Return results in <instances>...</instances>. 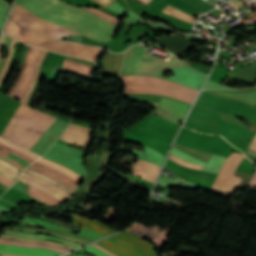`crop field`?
<instances>
[{"mask_svg": "<svg viewBox=\"0 0 256 256\" xmlns=\"http://www.w3.org/2000/svg\"><path fill=\"white\" fill-rule=\"evenodd\" d=\"M41 7L65 16L67 18L80 21L92 28H95L105 34L112 36L115 32L117 25L107 22L85 10L69 6L59 0H32ZM31 0H17L16 3L21 7L25 8L37 18L46 21L51 24L66 27L74 32L85 35L95 41L109 42L110 36L102 34L80 22L67 19L65 17L53 14ZM15 5L11 17L12 19L19 21L28 27L42 33L53 40H60L64 35H79L72 31H69L63 27L55 26L43 22L37 19L35 16L30 14L20 6Z\"/></svg>", "mask_w": 256, "mask_h": 256, "instance_id": "crop-field-1", "label": "crop field"}, {"mask_svg": "<svg viewBox=\"0 0 256 256\" xmlns=\"http://www.w3.org/2000/svg\"><path fill=\"white\" fill-rule=\"evenodd\" d=\"M4 32L13 36L16 40L22 43L45 48L63 54L88 59L91 61L97 60L102 50V48L100 47L86 46L72 42H53L42 37L33 30L11 20H8Z\"/></svg>", "mask_w": 256, "mask_h": 256, "instance_id": "crop-field-2", "label": "crop field"}, {"mask_svg": "<svg viewBox=\"0 0 256 256\" xmlns=\"http://www.w3.org/2000/svg\"><path fill=\"white\" fill-rule=\"evenodd\" d=\"M125 84L124 93H155L192 104L198 91L168 80L147 76H117Z\"/></svg>", "mask_w": 256, "mask_h": 256, "instance_id": "crop-field-3", "label": "crop field"}, {"mask_svg": "<svg viewBox=\"0 0 256 256\" xmlns=\"http://www.w3.org/2000/svg\"><path fill=\"white\" fill-rule=\"evenodd\" d=\"M142 47L134 45L125 52L120 75H151L166 79L160 74L174 67L185 66L175 57L166 62L146 55Z\"/></svg>", "mask_w": 256, "mask_h": 256, "instance_id": "crop-field-4", "label": "crop field"}, {"mask_svg": "<svg viewBox=\"0 0 256 256\" xmlns=\"http://www.w3.org/2000/svg\"><path fill=\"white\" fill-rule=\"evenodd\" d=\"M32 111L33 108L28 107L17 124L24 126ZM55 119L56 117L43 114L34 109L25 126L17 125L11 132L8 141L29 150Z\"/></svg>", "mask_w": 256, "mask_h": 256, "instance_id": "crop-field-5", "label": "crop field"}, {"mask_svg": "<svg viewBox=\"0 0 256 256\" xmlns=\"http://www.w3.org/2000/svg\"><path fill=\"white\" fill-rule=\"evenodd\" d=\"M117 256H156L154 246L124 231L96 243Z\"/></svg>", "mask_w": 256, "mask_h": 256, "instance_id": "crop-field-6", "label": "crop field"}, {"mask_svg": "<svg viewBox=\"0 0 256 256\" xmlns=\"http://www.w3.org/2000/svg\"><path fill=\"white\" fill-rule=\"evenodd\" d=\"M244 157V155L232 153L222 165L211 189L233 197L241 181V178L233 175V173Z\"/></svg>", "mask_w": 256, "mask_h": 256, "instance_id": "crop-field-7", "label": "crop field"}, {"mask_svg": "<svg viewBox=\"0 0 256 256\" xmlns=\"http://www.w3.org/2000/svg\"><path fill=\"white\" fill-rule=\"evenodd\" d=\"M189 108L190 106L179 101L161 98L158 108L153 113L181 124Z\"/></svg>", "mask_w": 256, "mask_h": 256, "instance_id": "crop-field-8", "label": "crop field"}, {"mask_svg": "<svg viewBox=\"0 0 256 256\" xmlns=\"http://www.w3.org/2000/svg\"><path fill=\"white\" fill-rule=\"evenodd\" d=\"M0 253H9L17 255H27V256H58L62 253L41 249V248H31V247H21L7 244H0Z\"/></svg>", "mask_w": 256, "mask_h": 256, "instance_id": "crop-field-9", "label": "crop field"}, {"mask_svg": "<svg viewBox=\"0 0 256 256\" xmlns=\"http://www.w3.org/2000/svg\"><path fill=\"white\" fill-rule=\"evenodd\" d=\"M89 128L70 123L68 129L64 132L60 140L72 142L77 145L86 147L89 141Z\"/></svg>", "mask_w": 256, "mask_h": 256, "instance_id": "crop-field-10", "label": "crop field"}, {"mask_svg": "<svg viewBox=\"0 0 256 256\" xmlns=\"http://www.w3.org/2000/svg\"><path fill=\"white\" fill-rule=\"evenodd\" d=\"M7 229H12V230H15V231H20V232H30V233H38V234L57 236V237H61V238H64V239H67V240H70V241H73V242H76V243H79V244H83V245H86V244L90 243V242L82 240L80 238H74V237H70V236H67V235H64V234H61V233L44 231V230H39V229H34V228L25 227L23 229H16V228L8 227Z\"/></svg>", "mask_w": 256, "mask_h": 256, "instance_id": "crop-field-11", "label": "crop field"}, {"mask_svg": "<svg viewBox=\"0 0 256 256\" xmlns=\"http://www.w3.org/2000/svg\"><path fill=\"white\" fill-rule=\"evenodd\" d=\"M72 216L74 217L75 219V225H78V226H81V227H84L86 229H89V230H92V231H95V232H98V233H101L105 236L113 233L103 227H101L100 225L88 220V219H85L83 217H80V216H77V215H73Z\"/></svg>", "mask_w": 256, "mask_h": 256, "instance_id": "crop-field-12", "label": "crop field"}, {"mask_svg": "<svg viewBox=\"0 0 256 256\" xmlns=\"http://www.w3.org/2000/svg\"><path fill=\"white\" fill-rule=\"evenodd\" d=\"M6 234L15 235V236H21V237H29V238L53 239V240H56L58 242H62V243H65V244H68V245H71V246H74V247L82 246V245H79V244H76V243H73V242H70V241H67V240L55 238V237H52V236H44V235H37V234H27V233H20V232H15V231H10V230H7Z\"/></svg>", "mask_w": 256, "mask_h": 256, "instance_id": "crop-field-13", "label": "crop field"}, {"mask_svg": "<svg viewBox=\"0 0 256 256\" xmlns=\"http://www.w3.org/2000/svg\"><path fill=\"white\" fill-rule=\"evenodd\" d=\"M0 243H7V244H14V245H21V246L41 247V248H47V249L60 251L62 253H65L68 251V250L61 249L59 247L50 246V245H46V244L19 242V241H12V240H6V239H0Z\"/></svg>", "mask_w": 256, "mask_h": 256, "instance_id": "crop-field-14", "label": "crop field"}, {"mask_svg": "<svg viewBox=\"0 0 256 256\" xmlns=\"http://www.w3.org/2000/svg\"><path fill=\"white\" fill-rule=\"evenodd\" d=\"M162 12L167 13V14H169V15H172V16H174V17H177V18H179V19H182V20L191 22V23L194 22L193 17H191V16H189V15H187V14L181 12L180 10H178V9H176V8L170 6V5L166 6V7L162 10Z\"/></svg>", "mask_w": 256, "mask_h": 256, "instance_id": "crop-field-15", "label": "crop field"}, {"mask_svg": "<svg viewBox=\"0 0 256 256\" xmlns=\"http://www.w3.org/2000/svg\"><path fill=\"white\" fill-rule=\"evenodd\" d=\"M177 148L201 159V160H205L207 161L208 157L210 156V153H206V152H203V151H200V150H196V149H193V148H189V147H185V146H181V145H175Z\"/></svg>", "mask_w": 256, "mask_h": 256, "instance_id": "crop-field-16", "label": "crop field"}, {"mask_svg": "<svg viewBox=\"0 0 256 256\" xmlns=\"http://www.w3.org/2000/svg\"><path fill=\"white\" fill-rule=\"evenodd\" d=\"M24 222L30 223V224H37V225L45 226V227H48V228L59 229V230H64V231L69 232L68 227L52 224V223H49V222L39 221V220H36V219H31V218L26 217Z\"/></svg>", "mask_w": 256, "mask_h": 256, "instance_id": "crop-field-17", "label": "crop field"}, {"mask_svg": "<svg viewBox=\"0 0 256 256\" xmlns=\"http://www.w3.org/2000/svg\"><path fill=\"white\" fill-rule=\"evenodd\" d=\"M63 67L68 69L71 72L85 74V75H89V76L92 71L91 68L82 67V66H78V65H74V64H70V63H66V62L63 63Z\"/></svg>", "mask_w": 256, "mask_h": 256, "instance_id": "crop-field-18", "label": "crop field"}, {"mask_svg": "<svg viewBox=\"0 0 256 256\" xmlns=\"http://www.w3.org/2000/svg\"><path fill=\"white\" fill-rule=\"evenodd\" d=\"M28 168L33 169V170H35V171H38V172H40V173H42V174H44V175H46V176H48V177H50V178L56 180V181H58V182L64 184L65 186H67L68 188H70V189L73 190V191L76 189V187H74L73 185H71L70 183H68L67 181H65L64 179H62V178H60V177H58V176H56V175H54V174H51V173H48V172H46V171L40 170V169H38V168H36V167H34V166H32V165L29 166Z\"/></svg>", "mask_w": 256, "mask_h": 256, "instance_id": "crop-field-19", "label": "crop field"}, {"mask_svg": "<svg viewBox=\"0 0 256 256\" xmlns=\"http://www.w3.org/2000/svg\"><path fill=\"white\" fill-rule=\"evenodd\" d=\"M24 172H26V173H28V174H32V175H34V176H36V177H38V178H40V179H42V180H45V181H47V182H49V183H51V184L56 185L57 187H59L60 189H62L64 192H66V193L69 194V195H71V193L73 192V191H71L70 189H68L67 187H65V186H63V185H61V184H59V183H57V182H55V181H53V180H51V179L45 177V176H43V175H40V174H38V173H35V172H33V171L29 170V169H26Z\"/></svg>", "mask_w": 256, "mask_h": 256, "instance_id": "crop-field-20", "label": "crop field"}, {"mask_svg": "<svg viewBox=\"0 0 256 256\" xmlns=\"http://www.w3.org/2000/svg\"><path fill=\"white\" fill-rule=\"evenodd\" d=\"M2 238H8V239H14V240H20V241H28V242H39V243H47V244H51V245H55V246H59V247H66L67 245L58 243V242H52V241H42V240H35V239H28V238H21V237H14V236H8V235H3L1 234Z\"/></svg>", "mask_w": 256, "mask_h": 256, "instance_id": "crop-field-21", "label": "crop field"}, {"mask_svg": "<svg viewBox=\"0 0 256 256\" xmlns=\"http://www.w3.org/2000/svg\"><path fill=\"white\" fill-rule=\"evenodd\" d=\"M21 176H23V177H25V178H27V179H29V180H31V181L38 182V183H40V184H42V185H44V186H46V187L52 189L53 191H55L56 193H58L59 195L63 196V197L66 198V199H67V197H68V195H66V194H65L64 192H62L60 189H58L57 187H55V186H53V185H51V184H49V183H47V182H45V181H42V180H39V179H37V178L31 177V176H29V175H27V174H24V173H22Z\"/></svg>", "mask_w": 256, "mask_h": 256, "instance_id": "crop-field-22", "label": "crop field"}, {"mask_svg": "<svg viewBox=\"0 0 256 256\" xmlns=\"http://www.w3.org/2000/svg\"><path fill=\"white\" fill-rule=\"evenodd\" d=\"M33 165H35V166H37V167H39V168H41L43 170H46V171L51 172V173H54V174L64 178L65 180H67L68 182L73 184L74 186H77V184H78V182L74 181L73 179L69 178L68 176H66V175H64V174H62V173H60V172H58V171H56V170L46 166V165L40 164L38 162L34 163Z\"/></svg>", "mask_w": 256, "mask_h": 256, "instance_id": "crop-field-23", "label": "crop field"}, {"mask_svg": "<svg viewBox=\"0 0 256 256\" xmlns=\"http://www.w3.org/2000/svg\"><path fill=\"white\" fill-rule=\"evenodd\" d=\"M19 180H21V181H23V182H25V183H27V184L36 186V187H38V188L44 190L45 192L49 193L50 195H52L53 197H55L57 200H59L61 203H62L63 201H65V199H63L61 196H59L58 194H56L55 192H53L52 190H50V189H48V188H46V187H43V186H41V185H39V184H37V183H35V182H31V181H29V180H27V179H25V178H23V177H20Z\"/></svg>", "mask_w": 256, "mask_h": 256, "instance_id": "crop-field-24", "label": "crop field"}, {"mask_svg": "<svg viewBox=\"0 0 256 256\" xmlns=\"http://www.w3.org/2000/svg\"><path fill=\"white\" fill-rule=\"evenodd\" d=\"M83 9H86V8H83ZM86 10H88V11H90V12H92V13H94V14H96V15H98V16H100V17L118 25V19L111 16V15H108L104 12L97 11L95 9H86Z\"/></svg>", "mask_w": 256, "mask_h": 256, "instance_id": "crop-field-25", "label": "crop field"}, {"mask_svg": "<svg viewBox=\"0 0 256 256\" xmlns=\"http://www.w3.org/2000/svg\"><path fill=\"white\" fill-rule=\"evenodd\" d=\"M72 4L79 5V6H93V7H103L91 0H65Z\"/></svg>", "mask_w": 256, "mask_h": 256, "instance_id": "crop-field-26", "label": "crop field"}, {"mask_svg": "<svg viewBox=\"0 0 256 256\" xmlns=\"http://www.w3.org/2000/svg\"><path fill=\"white\" fill-rule=\"evenodd\" d=\"M9 6H10V4H8L6 1L0 0V28L3 24L4 18H5V15L7 13Z\"/></svg>", "mask_w": 256, "mask_h": 256, "instance_id": "crop-field-27", "label": "crop field"}, {"mask_svg": "<svg viewBox=\"0 0 256 256\" xmlns=\"http://www.w3.org/2000/svg\"><path fill=\"white\" fill-rule=\"evenodd\" d=\"M15 43H16V41L12 40V44H11V48H10V51H9V55H8L7 61H6L5 65H4L3 69H2V71H1V73H0V82H1V80H2V77H3V75H4V73H5L6 69H7V67H8V65H9L10 61H11V57H12V53H13V50H14ZM6 72H7V71H6ZM5 74H6V73H5ZM4 76H5V75H4ZM3 78H4V77H3Z\"/></svg>", "mask_w": 256, "mask_h": 256, "instance_id": "crop-field-28", "label": "crop field"}, {"mask_svg": "<svg viewBox=\"0 0 256 256\" xmlns=\"http://www.w3.org/2000/svg\"><path fill=\"white\" fill-rule=\"evenodd\" d=\"M169 159H171V160H173V161H175V162H177V163H179L183 166H187V167H191V168H195V169H199V170H202V168H203L202 166H197V165L187 163V162L181 160L180 158H178V157H176L172 154L170 155Z\"/></svg>", "mask_w": 256, "mask_h": 256, "instance_id": "crop-field-29", "label": "crop field"}, {"mask_svg": "<svg viewBox=\"0 0 256 256\" xmlns=\"http://www.w3.org/2000/svg\"><path fill=\"white\" fill-rule=\"evenodd\" d=\"M81 250L87 251V252L93 254L94 256H109L105 252H103V251H101V250H99V249H97V248H95L91 245H89V246H87V247H85Z\"/></svg>", "mask_w": 256, "mask_h": 256, "instance_id": "crop-field-30", "label": "crop field"}, {"mask_svg": "<svg viewBox=\"0 0 256 256\" xmlns=\"http://www.w3.org/2000/svg\"><path fill=\"white\" fill-rule=\"evenodd\" d=\"M31 50H32V47H30V46H29V48H28V52H27V55H26V57H25V60H24L23 66H22V68H21V72H20V74H19V76H18L17 80L15 81V83H14V85H13L12 89H11V91H10V93H9V96L11 95V93L13 92V90L15 89V87H16V85H17V83H18L19 79H20V77L22 76V74H23V72H24V70H25V67H26V61H27V59H28V56H29V54H30Z\"/></svg>", "mask_w": 256, "mask_h": 256, "instance_id": "crop-field-31", "label": "crop field"}, {"mask_svg": "<svg viewBox=\"0 0 256 256\" xmlns=\"http://www.w3.org/2000/svg\"><path fill=\"white\" fill-rule=\"evenodd\" d=\"M1 145H2V144H1ZM1 145H0V149H3V148H4L6 151L11 152V153H13V154H15V155L21 157L22 159L26 160V161L29 162L30 164H31L32 162H34V160H32V159L28 158L27 156H25V155L19 153L18 151L13 150V149H11V148H8V147H6V146H4V145H2V146H3V148H2ZM4 149H3V150H4Z\"/></svg>", "mask_w": 256, "mask_h": 256, "instance_id": "crop-field-32", "label": "crop field"}, {"mask_svg": "<svg viewBox=\"0 0 256 256\" xmlns=\"http://www.w3.org/2000/svg\"><path fill=\"white\" fill-rule=\"evenodd\" d=\"M79 235H83V236L92 238L94 240H97V239H100V238L104 237L102 235H98V234L92 233V232H90L88 230H84V229H81Z\"/></svg>", "mask_w": 256, "mask_h": 256, "instance_id": "crop-field-33", "label": "crop field"}, {"mask_svg": "<svg viewBox=\"0 0 256 256\" xmlns=\"http://www.w3.org/2000/svg\"><path fill=\"white\" fill-rule=\"evenodd\" d=\"M29 193H30L31 196H33V197H35V198H37V199H39V200H41V201H43L47 204L54 205L52 202L48 201L47 199H45L44 197H42V196H40L36 193L30 192V191H29Z\"/></svg>", "mask_w": 256, "mask_h": 256, "instance_id": "crop-field-34", "label": "crop field"}, {"mask_svg": "<svg viewBox=\"0 0 256 256\" xmlns=\"http://www.w3.org/2000/svg\"><path fill=\"white\" fill-rule=\"evenodd\" d=\"M99 10L105 11V12L111 14V15H114V16L118 17V18L122 16V15H120V14H118V13H116V12H114V11L108 9V8H102V9H99Z\"/></svg>", "mask_w": 256, "mask_h": 256, "instance_id": "crop-field-35", "label": "crop field"}, {"mask_svg": "<svg viewBox=\"0 0 256 256\" xmlns=\"http://www.w3.org/2000/svg\"><path fill=\"white\" fill-rule=\"evenodd\" d=\"M241 167H244V168H247V169H250V170H253L255 171L256 170V167L255 166H252V165H249V164H246V163H241L240 165Z\"/></svg>", "mask_w": 256, "mask_h": 256, "instance_id": "crop-field-36", "label": "crop field"}, {"mask_svg": "<svg viewBox=\"0 0 256 256\" xmlns=\"http://www.w3.org/2000/svg\"><path fill=\"white\" fill-rule=\"evenodd\" d=\"M94 1L100 3V4L104 5V6L109 5V4H111L113 2L112 0H94Z\"/></svg>", "mask_w": 256, "mask_h": 256, "instance_id": "crop-field-37", "label": "crop field"}, {"mask_svg": "<svg viewBox=\"0 0 256 256\" xmlns=\"http://www.w3.org/2000/svg\"><path fill=\"white\" fill-rule=\"evenodd\" d=\"M0 170H2V171H4V172H7V173H9V174H11V175H14V176H16V177H17V175H18V174H16L15 172H13V171H11V170H9V169H6V168H4V167H2V166H0Z\"/></svg>", "mask_w": 256, "mask_h": 256, "instance_id": "crop-field-38", "label": "crop field"}, {"mask_svg": "<svg viewBox=\"0 0 256 256\" xmlns=\"http://www.w3.org/2000/svg\"><path fill=\"white\" fill-rule=\"evenodd\" d=\"M64 61H66V62H70V63H75V64H79V65H83V66H87V67H91V68H93V66H91V65L83 64V63L76 62V61H73V60L65 59Z\"/></svg>", "mask_w": 256, "mask_h": 256, "instance_id": "crop-field-39", "label": "crop field"}, {"mask_svg": "<svg viewBox=\"0 0 256 256\" xmlns=\"http://www.w3.org/2000/svg\"><path fill=\"white\" fill-rule=\"evenodd\" d=\"M0 175L1 176H3V177H7V178H9V179H11V180H13V181H15L17 178H15V177H13V176H11V175H9V174H6V173H4V172H1L0 171Z\"/></svg>", "mask_w": 256, "mask_h": 256, "instance_id": "crop-field-40", "label": "crop field"}, {"mask_svg": "<svg viewBox=\"0 0 256 256\" xmlns=\"http://www.w3.org/2000/svg\"><path fill=\"white\" fill-rule=\"evenodd\" d=\"M0 181L7 184V185H11L13 182L7 178H3V177H0Z\"/></svg>", "mask_w": 256, "mask_h": 256, "instance_id": "crop-field-41", "label": "crop field"}, {"mask_svg": "<svg viewBox=\"0 0 256 256\" xmlns=\"http://www.w3.org/2000/svg\"><path fill=\"white\" fill-rule=\"evenodd\" d=\"M5 37H6V35L3 34L2 37H1V40H0V55H1L2 46H3V43H4Z\"/></svg>", "mask_w": 256, "mask_h": 256, "instance_id": "crop-field-42", "label": "crop field"}, {"mask_svg": "<svg viewBox=\"0 0 256 256\" xmlns=\"http://www.w3.org/2000/svg\"><path fill=\"white\" fill-rule=\"evenodd\" d=\"M249 148H250V149H253V150H256V137H255V139L251 142Z\"/></svg>", "mask_w": 256, "mask_h": 256, "instance_id": "crop-field-43", "label": "crop field"}, {"mask_svg": "<svg viewBox=\"0 0 256 256\" xmlns=\"http://www.w3.org/2000/svg\"><path fill=\"white\" fill-rule=\"evenodd\" d=\"M92 245H94V246L100 248L101 250L105 251L106 253H108V254L111 255V256H115V255H113L112 253L108 252L107 250H105L104 248H102V247H100V246H98V245H96V244H92Z\"/></svg>", "mask_w": 256, "mask_h": 256, "instance_id": "crop-field-44", "label": "crop field"}, {"mask_svg": "<svg viewBox=\"0 0 256 256\" xmlns=\"http://www.w3.org/2000/svg\"><path fill=\"white\" fill-rule=\"evenodd\" d=\"M0 159H1V160H4V161H7V162H9V163L13 161V160H10V159H8V158H5V157H3V156H1V155H0Z\"/></svg>", "mask_w": 256, "mask_h": 256, "instance_id": "crop-field-45", "label": "crop field"}, {"mask_svg": "<svg viewBox=\"0 0 256 256\" xmlns=\"http://www.w3.org/2000/svg\"><path fill=\"white\" fill-rule=\"evenodd\" d=\"M248 158H250V159H253V160H255L256 161V157L255 156H252V155H248V154H245Z\"/></svg>", "mask_w": 256, "mask_h": 256, "instance_id": "crop-field-46", "label": "crop field"}, {"mask_svg": "<svg viewBox=\"0 0 256 256\" xmlns=\"http://www.w3.org/2000/svg\"><path fill=\"white\" fill-rule=\"evenodd\" d=\"M0 154L7 157L9 153L0 150Z\"/></svg>", "mask_w": 256, "mask_h": 256, "instance_id": "crop-field-47", "label": "crop field"}, {"mask_svg": "<svg viewBox=\"0 0 256 256\" xmlns=\"http://www.w3.org/2000/svg\"><path fill=\"white\" fill-rule=\"evenodd\" d=\"M0 187L3 188V189H5V190L8 188V186H6V185H4V184H2V183H0Z\"/></svg>", "mask_w": 256, "mask_h": 256, "instance_id": "crop-field-48", "label": "crop field"}, {"mask_svg": "<svg viewBox=\"0 0 256 256\" xmlns=\"http://www.w3.org/2000/svg\"><path fill=\"white\" fill-rule=\"evenodd\" d=\"M244 162H247V163H249V164L254 165V164H253L250 160H248L247 158H245Z\"/></svg>", "mask_w": 256, "mask_h": 256, "instance_id": "crop-field-49", "label": "crop field"}, {"mask_svg": "<svg viewBox=\"0 0 256 256\" xmlns=\"http://www.w3.org/2000/svg\"><path fill=\"white\" fill-rule=\"evenodd\" d=\"M139 1L148 4V2H149L150 0H139Z\"/></svg>", "mask_w": 256, "mask_h": 256, "instance_id": "crop-field-50", "label": "crop field"}, {"mask_svg": "<svg viewBox=\"0 0 256 256\" xmlns=\"http://www.w3.org/2000/svg\"><path fill=\"white\" fill-rule=\"evenodd\" d=\"M2 256H17V255H6V254H2Z\"/></svg>", "mask_w": 256, "mask_h": 256, "instance_id": "crop-field-51", "label": "crop field"}]
</instances>
